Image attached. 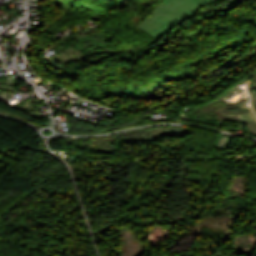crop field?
Instances as JSON below:
<instances>
[{
	"mask_svg": "<svg viewBox=\"0 0 256 256\" xmlns=\"http://www.w3.org/2000/svg\"><path fill=\"white\" fill-rule=\"evenodd\" d=\"M163 2L138 26L153 38L146 46L155 43L191 14L212 0H162Z\"/></svg>",
	"mask_w": 256,
	"mask_h": 256,
	"instance_id": "crop-field-1",
	"label": "crop field"
},
{
	"mask_svg": "<svg viewBox=\"0 0 256 256\" xmlns=\"http://www.w3.org/2000/svg\"><path fill=\"white\" fill-rule=\"evenodd\" d=\"M108 37L105 35H101L99 33H95V34H90V35H86L85 38H80L77 41L79 42L78 46L80 47V49L89 52V54L92 52V49H95L98 46H102L105 47L106 45L104 44V40L107 39ZM89 44L90 46L94 45L91 48L85 49L83 46ZM93 53V52H92ZM99 53V52H94V54Z\"/></svg>",
	"mask_w": 256,
	"mask_h": 256,
	"instance_id": "crop-field-2",
	"label": "crop field"
}]
</instances>
